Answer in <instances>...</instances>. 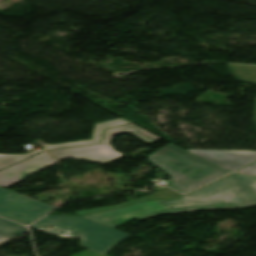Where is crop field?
I'll use <instances>...</instances> for the list:
<instances>
[{"label":"crop field","mask_w":256,"mask_h":256,"mask_svg":"<svg viewBox=\"0 0 256 256\" xmlns=\"http://www.w3.org/2000/svg\"><path fill=\"white\" fill-rule=\"evenodd\" d=\"M49 225L53 228H47ZM32 227L45 233L56 236L81 238V245L100 254H105L119 241L125 238L127 233L110 228L100 223L91 221L81 216H51L41 219Z\"/></svg>","instance_id":"3"},{"label":"crop field","mask_w":256,"mask_h":256,"mask_svg":"<svg viewBox=\"0 0 256 256\" xmlns=\"http://www.w3.org/2000/svg\"><path fill=\"white\" fill-rule=\"evenodd\" d=\"M44 150H38V151H34L31 152L27 155H5V154H0V170L15 163L18 162L20 160L26 159L32 155H35L36 152H41Z\"/></svg>","instance_id":"12"},{"label":"crop field","mask_w":256,"mask_h":256,"mask_svg":"<svg viewBox=\"0 0 256 256\" xmlns=\"http://www.w3.org/2000/svg\"><path fill=\"white\" fill-rule=\"evenodd\" d=\"M129 130L133 131V136L139 138L140 140L148 144L161 139L160 137L134 124H130V125L106 130L103 144L72 148V149H66V150H59V151H52L50 153L54 155L57 159L77 158V159L107 164L123 156V154L116 152L111 146V142L114 136Z\"/></svg>","instance_id":"4"},{"label":"crop field","mask_w":256,"mask_h":256,"mask_svg":"<svg viewBox=\"0 0 256 256\" xmlns=\"http://www.w3.org/2000/svg\"><path fill=\"white\" fill-rule=\"evenodd\" d=\"M256 205V177L233 173L187 196L171 200L137 202L129 207L83 215L116 228L134 218L200 210L244 208Z\"/></svg>","instance_id":"1"},{"label":"crop field","mask_w":256,"mask_h":256,"mask_svg":"<svg viewBox=\"0 0 256 256\" xmlns=\"http://www.w3.org/2000/svg\"><path fill=\"white\" fill-rule=\"evenodd\" d=\"M238 172H244V173H250V174H256V163L248 166V167H245L241 170H239Z\"/></svg>","instance_id":"13"},{"label":"crop field","mask_w":256,"mask_h":256,"mask_svg":"<svg viewBox=\"0 0 256 256\" xmlns=\"http://www.w3.org/2000/svg\"><path fill=\"white\" fill-rule=\"evenodd\" d=\"M229 69L237 80L256 83V67L228 64ZM254 119L256 122V107Z\"/></svg>","instance_id":"10"},{"label":"crop field","mask_w":256,"mask_h":256,"mask_svg":"<svg viewBox=\"0 0 256 256\" xmlns=\"http://www.w3.org/2000/svg\"><path fill=\"white\" fill-rule=\"evenodd\" d=\"M177 196H181V195L172 191L169 188H165V189H160V190L154 191V193L152 195H148L146 197H143V198H140V199H137V200H133V201L127 202V203L122 204V205L107 207V208H99V209L79 211V212H75V213H76V215L86 214V213H93V212H98V211L112 209V208L124 207V206H127V205H129V204H131L135 201H139V200H145V199H151V198L169 199V198H173V197H177Z\"/></svg>","instance_id":"9"},{"label":"crop field","mask_w":256,"mask_h":256,"mask_svg":"<svg viewBox=\"0 0 256 256\" xmlns=\"http://www.w3.org/2000/svg\"><path fill=\"white\" fill-rule=\"evenodd\" d=\"M57 161L46 152L15 164L0 171V186L7 188L25 179L26 176L39 172Z\"/></svg>","instance_id":"6"},{"label":"crop field","mask_w":256,"mask_h":256,"mask_svg":"<svg viewBox=\"0 0 256 256\" xmlns=\"http://www.w3.org/2000/svg\"><path fill=\"white\" fill-rule=\"evenodd\" d=\"M223 169L235 171L256 160V152L188 150Z\"/></svg>","instance_id":"7"},{"label":"crop field","mask_w":256,"mask_h":256,"mask_svg":"<svg viewBox=\"0 0 256 256\" xmlns=\"http://www.w3.org/2000/svg\"><path fill=\"white\" fill-rule=\"evenodd\" d=\"M148 159L172 177L169 187L180 193H187L230 172L223 171L172 144L153 152Z\"/></svg>","instance_id":"2"},{"label":"crop field","mask_w":256,"mask_h":256,"mask_svg":"<svg viewBox=\"0 0 256 256\" xmlns=\"http://www.w3.org/2000/svg\"><path fill=\"white\" fill-rule=\"evenodd\" d=\"M127 123H129V121H127L123 118H117V119H113V120H110V121L102 122V123L96 124V129H95V133H94V140L68 143V144H60V145H53V146H48L45 149L46 150H51V149L86 145V144L101 143L105 128L118 126V125H123V124H127Z\"/></svg>","instance_id":"8"},{"label":"crop field","mask_w":256,"mask_h":256,"mask_svg":"<svg viewBox=\"0 0 256 256\" xmlns=\"http://www.w3.org/2000/svg\"><path fill=\"white\" fill-rule=\"evenodd\" d=\"M25 231L23 226L0 218V243L14 234L21 236Z\"/></svg>","instance_id":"11"},{"label":"crop field","mask_w":256,"mask_h":256,"mask_svg":"<svg viewBox=\"0 0 256 256\" xmlns=\"http://www.w3.org/2000/svg\"><path fill=\"white\" fill-rule=\"evenodd\" d=\"M55 207L0 187V215L30 224ZM33 223V222H32Z\"/></svg>","instance_id":"5"}]
</instances>
